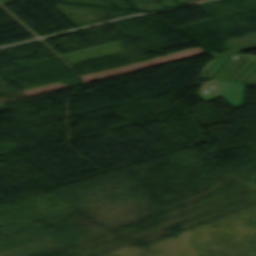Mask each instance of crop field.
<instances>
[{"label":"crop field","instance_id":"obj_2","mask_svg":"<svg viewBox=\"0 0 256 256\" xmlns=\"http://www.w3.org/2000/svg\"><path fill=\"white\" fill-rule=\"evenodd\" d=\"M244 85L209 80L202 83L198 96L203 100L222 97L234 107L241 106ZM232 106V107H233Z\"/></svg>","mask_w":256,"mask_h":256},{"label":"crop field","instance_id":"obj_1","mask_svg":"<svg viewBox=\"0 0 256 256\" xmlns=\"http://www.w3.org/2000/svg\"><path fill=\"white\" fill-rule=\"evenodd\" d=\"M235 54L209 61L200 78L254 85L256 56ZM252 77V78H249Z\"/></svg>","mask_w":256,"mask_h":256}]
</instances>
